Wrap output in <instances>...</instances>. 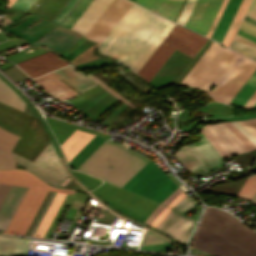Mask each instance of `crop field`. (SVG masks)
I'll return each instance as SVG.
<instances>
[{
	"mask_svg": "<svg viewBox=\"0 0 256 256\" xmlns=\"http://www.w3.org/2000/svg\"><path fill=\"white\" fill-rule=\"evenodd\" d=\"M175 23L132 4L99 46L136 73L174 27Z\"/></svg>",
	"mask_w": 256,
	"mask_h": 256,
	"instance_id": "8a807250",
	"label": "crop field"
},
{
	"mask_svg": "<svg viewBox=\"0 0 256 256\" xmlns=\"http://www.w3.org/2000/svg\"><path fill=\"white\" fill-rule=\"evenodd\" d=\"M256 69V62L213 42L182 84L205 89L219 102L229 103Z\"/></svg>",
	"mask_w": 256,
	"mask_h": 256,
	"instance_id": "ac0d7876",
	"label": "crop field"
},
{
	"mask_svg": "<svg viewBox=\"0 0 256 256\" xmlns=\"http://www.w3.org/2000/svg\"><path fill=\"white\" fill-rule=\"evenodd\" d=\"M192 245L210 255L256 256V233L228 214L208 207Z\"/></svg>",
	"mask_w": 256,
	"mask_h": 256,
	"instance_id": "34b2d1b8",
	"label": "crop field"
},
{
	"mask_svg": "<svg viewBox=\"0 0 256 256\" xmlns=\"http://www.w3.org/2000/svg\"><path fill=\"white\" fill-rule=\"evenodd\" d=\"M149 160L107 139L77 170L121 187Z\"/></svg>",
	"mask_w": 256,
	"mask_h": 256,
	"instance_id": "412701ff",
	"label": "crop field"
},
{
	"mask_svg": "<svg viewBox=\"0 0 256 256\" xmlns=\"http://www.w3.org/2000/svg\"><path fill=\"white\" fill-rule=\"evenodd\" d=\"M0 107L30 120L28 123V120L0 108L1 128L20 137L28 123L17 144L15 145L13 152L33 161L38 153L50 140L45 129L39 122L38 118L30 114H27L1 102Z\"/></svg>",
	"mask_w": 256,
	"mask_h": 256,
	"instance_id": "f4fd0767",
	"label": "crop field"
},
{
	"mask_svg": "<svg viewBox=\"0 0 256 256\" xmlns=\"http://www.w3.org/2000/svg\"><path fill=\"white\" fill-rule=\"evenodd\" d=\"M206 40L176 24L137 74L150 82L175 48L194 58Z\"/></svg>",
	"mask_w": 256,
	"mask_h": 256,
	"instance_id": "dd49c442",
	"label": "crop field"
},
{
	"mask_svg": "<svg viewBox=\"0 0 256 256\" xmlns=\"http://www.w3.org/2000/svg\"><path fill=\"white\" fill-rule=\"evenodd\" d=\"M178 186L151 160L122 188L161 203Z\"/></svg>",
	"mask_w": 256,
	"mask_h": 256,
	"instance_id": "e52e79f7",
	"label": "crop field"
},
{
	"mask_svg": "<svg viewBox=\"0 0 256 256\" xmlns=\"http://www.w3.org/2000/svg\"><path fill=\"white\" fill-rule=\"evenodd\" d=\"M11 155L19 165L36 175L38 173L41 174L42 180L56 187L68 175L64 170L51 141H49L33 162L13 152Z\"/></svg>",
	"mask_w": 256,
	"mask_h": 256,
	"instance_id": "d8731c3e",
	"label": "crop field"
},
{
	"mask_svg": "<svg viewBox=\"0 0 256 256\" xmlns=\"http://www.w3.org/2000/svg\"><path fill=\"white\" fill-rule=\"evenodd\" d=\"M131 4L128 0H114L86 36L101 43Z\"/></svg>",
	"mask_w": 256,
	"mask_h": 256,
	"instance_id": "5a996713",
	"label": "crop field"
},
{
	"mask_svg": "<svg viewBox=\"0 0 256 256\" xmlns=\"http://www.w3.org/2000/svg\"><path fill=\"white\" fill-rule=\"evenodd\" d=\"M221 2L222 0H198L185 26L205 36Z\"/></svg>",
	"mask_w": 256,
	"mask_h": 256,
	"instance_id": "3316defc",
	"label": "crop field"
},
{
	"mask_svg": "<svg viewBox=\"0 0 256 256\" xmlns=\"http://www.w3.org/2000/svg\"><path fill=\"white\" fill-rule=\"evenodd\" d=\"M196 221L184 217L182 214L171 210L157 229L175 238L178 243L186 244Z\"/></svg>",
	"mask_w": 256,
	"mask_h": 256,
	"instance_id": "28ad6ade",
	"label": "crop field"
},
{
	"mask_svg": "<svg viewBox=\"0 0 256 256\" xmlns=\"http://www.w3.org/2000/svg\"><path fill=\"white\" fill-rule=\"evenodd\" d=\"M69 64L52 51L17 63L31 77L43 74L53 69Z\"/></svg>",
	"mask_w": 256,
	"mask_h": 256,
	"instance_id": "d1516ede",
	"label": "crop field"
},
{
	"mask_svg": "<svg viewBox=\"0 0 256 256\" xmlns=\"http://www.w3.org/2000/svg\"><path fill=\"white\" fill-rule=\"evenodd\" d=\"M207 127L228 156L250 152V150L229 130L224 123L207 125Z\"/></svg>",
	"mask_w": 256,
	"mask_h": 256,
	"instance_id": "22f410ed",
	"label": "crop field"
},
{
	"mask_svg": "<svg viewBox=\"0 0 256 256\" xmlns=\"http://www.w3.org/2000/svg\"><path fill=\"white\" fill-rule=\"evenodd\" d=\"M113 0H93L72 29L86 35Z\"/></svg>",
	"mask_w": 256,
	"mask_h": 256,
	"instance_id": "cbeb9de0",
	"label": "crop field"
},
{
	"mask_svg": "<svg viewBox=\"0 0 256 256\" xmlns=\"http://www.w3.org/2000/svg\"><path fill=\"white\" fill-rule=\"evenodd\" d=\"M57 75L53 72L43 75L41 77L33 79V81L38 84L43 90L48 94L55 96L61 100H64L76 92L71 89L67 84L61 81Z\"/></svg>",
	"mask_w": 256,
	"mask_h": 256,
	"instance_id": "5142ce71",
	"label": "crop field"
},
{
	"mask_svg": "<svg viewBox=\"0 0 256 256\" xmlns=\"http://www.w3.org/2000/svg\"><path fill=\"white\" fill-rule=\"evenodd\" d=\"M26 188L11 186L0 207V232H5Z\"/></svg>",
	"mask_w": 256,
	"mask_h": 256,
	"instance_id": "d9b57169",
	"label": "crop field"
},
{
	"mask_svg": "<svg viewBox=\"0 0 256 256\" xmlns=\"http://www.w3.org/2000/svg\"><path fill=\"white\" fill-rule=\"evenodd\" d=\"M178 160L190 171L203 169L204 172L212 170L211 166L201 155L194 144L183 146L176 153Z\"/></svg>",
	"mask_w": 256,
	"mask_h": 256,
	"instance_id": "733c2abd",
	"label": "crop field"
},
{
	"mask_svg": "<svg viewBox=\"0 0 256 256\" xmlns=\"http://www.w3.org/2000/svg\"><path fill=\"white\" fill-rule=\"evenodd\" d=\"M76 41H78V39L74 38L72 35L58 32L52 29L46 35L37 39L31 44L37 46L44 45L58 51L61 54Z\"/></svg>",
	"mask_w": 256,
	"mask_h": 256,
	"instance_id": "4a817a6b",
	"label": "crop field"
},
{
	"mask_svg": "<svg viewBox=\"0 0 256 256\" xmlns=\"http://www.w3.org/2000/svg\"><path fill=\"white\" fill-rule=\"evenodd\" d=\"M135 2L174 21L184 0H136Z\"/></svg>",
	"mask_w": 256,
	"mask_h": 256,
	"instance_id": "bc2a9ffb",
	"label": "crop field"
},
{
	"mask_svg": "<svg viewBox=\"0 0 256 256\" xmlns=\"http://www.w3.org/2000/svg\"><path fill=\"white\" fill-rule=\"evenodd\" d=\"M30 239L0 236V256H26Z\"/></svg>",
	"mask_w": 256,
	"mask_h": 256,
	"instance_id": "214f88e0",
	"label": "crop field"
},
{
	"mask_svg": "<svg viewBox=\"0 0 256 256\" xmlns=\"http://www.w3.org/2000/svg\"><path fill=\"white\" fill-rule=\"evenodd\" d=\"M54 73H56L78 92L95 84L82 72L75 71L72 66H67L56 70Z\"/></svg>",
	"mask_w": 256,
	"mask_h": 256,
	"instance_id": "92a150f3",
	"label": "crop field"
},
{
	"mask_svg": "<svg viewBox=\"0 0 256 256\" xmlns=\"http://www.w3.org/2000/svg\"><path fill=\"white\" fill-rule=\"evenodd\" d=\"M93 136L94 134L76 130L61 146L67 161H69Z\"/></svg>",
	"mask_w": 256,
	"mask_h": 256,
	"instance_id": "dafd665d",
	"label": "crop field"
},
{
	"mask_svg": "<svg viewBox=\"0 0 256 256\" xmlns=\"http://www.w3.org/2000/svg\"><path fill=\"white\" fill-rule=\"evenodd\" d=\"M242 0H230L213 35L212 39L221 43Z\"/></svg>",
	"mask_w": 256,
	"mask_h": 256,
	"instance_id": "00972430",
	"label": "crop field"
},
{
	"mask_svg": "<svg viewBox=\"0 0 256 256\" xmlns=\"http://www.w3.org/2000/svg\"><path fill=\"white\" fill-rule=\"evenodd\" d=\"M65 196V193L56 192L52 202L50 203L46 213L44 214L40 224L38 225L34 233L35 236L43 237L45 235Z\"/></svg>",
	"mask_w": 256,
	"mask_h": 256,
	"instance_id": "a9b5d70f",
	"label": "crop field"
},
{
	"mask_svg": "<svg viewBox=\"0 0 256 256\" xmlns=\"http://www.w3.org/2000/svg\"><path fill=\"white\" fill-rule=\"evenodd\" d=\"M106 139L95 136L69 162L70 168L77 169Z\"/></svg>",
	"mask_w": 256,
	"mask_h": 256,
	"instance_id": "4177f3b9",
	"label": "crop field"
},
{
	"mask_svg": "<svg viewBox=\"0 0 256 256\" xmlns=\"http://www.w3.org/2000/svg\"><path fill=\"white\" fill-rule=\"evenodd\" d=\"M213 169L223 165L222 158L201 132V141L195 144Z\"/></svg>",
	"mask_w": 256,
	"mask_h": 256,
	"instance_id": "730fd06b",
	"label": "crop field"
},
{
	"mask_svg": "<svg viewBox=\"0 0 256 256\" xmlns=\"http://www.w3.org/2000/svg\"><path fill=\"white\" fill-rule=\"evenodd\" d=\"M256 90V70L231 100L230 103L243 107Z\"/></svg>",
	"mask_w": 256,
	"mask_h": 256,
	"instance_id": "eef30255",
	"label": "crop field"
},
{
	"mask_svg": "<svg viewBox=\"0 0 256 256\" xmlns=\"http://www.w3.org/2000/svg\"><path fill=\"white\" fill-rule=\"evenodd\" d=\"M250 2H251V0H243L242 1L234 19H233L225 37H224V39L222 41V44H224L226 46L230 45V43H231V41H232L236 31H237L242 19H243V16H244Z\"/></svg>",
	"mask_w": 256,
	"mask_h": 256,
	"instance_id": "ae1a2a85",
	"label": "crop field"
},
{
	"mask_svg": "<svg viewBox=\"0 0 256 256\" xmlns=\"http://www.w3.org/2000/svg\"><path fill=\"white\" fill-rule=\"evenodd\" d=\"M92 0H80L71 13L66 17L61 26L70 28Z\"/></svg>",
	"mask_w": 256,
	"mask_h": 256,
	"instance_id": "d3111659",
	"label": "crop field"
},
{
	"mask_svg": "<svg viewBox=\"0 0 256 256\" xmlns=\"http://www.w3.org/2000/svg\"><path fill=\"white\" fill-rule=\"evenodd\" d=\"M256 191V174H252L249 176L248 180L241 187L236 197L245 198L249 200V198Z\"/></svg>",
	"mask_w": 256,
	"mask_h": 256,
	"instance_id": "750c4746",
	"label": "crop field"
},
{
	"mask_svg": "<svg viewBox=\"0 0 256 256\" xmlns=\"http://www.w3.org/2000/svg\"><path fill=\"white\" fill-rule=\"evenodd\" d=\"M79 0H68L62 9L57 13L53 18L52 22L60 25L65 17L70 13L74 6L78 3ZM63 23V22H62Z\"/></svg>",
	"mask_w": 256,
	"mask_h": 256,
	"instance_id": "bd1437ed",
	"label": "crop field"
},
{
	"mask_svg": "<svg viewBox=\"0 0 256 256\" xmlns=\"http://www.w3.org/2000/svg\"><path fill=\"white\" fill-rule=\"evenodd\" d=\"M14 95L15 92L0 80V100L12 106Z\"/></svg>",
	"mask_w": 256,
	"mask_h": 256,
	"instance_id": "1d83c4d3",
	"label": "crop field"
},
{
	"mask_svg": "<svg viewBox=\"0 0 256 256\" xmlns=\"http://www.w3.org/2000/svg\"><path fill=\"white\" fill-rule=\"evenodd\" d=\"M195 204L196 202L186 194L174 209L186 215Z\"/></svg>",
	"mask_w": 256,
	"mask_h": 256,
	"instance_id": "120bbe31",
	"label": "crop field"
},
{
	"mask_svg": "<svg viewBox=\"0 0 256 256\" xmlns=\"http://www.w3.org/2000/svg\"><path fill=\"white\" fill-rule=\"evenodd\" d=\"M231 48L256 60V50L251 49L237 41H233Z\"/></svg>",
	"mask_w": 256,
	"mask_h": 256,
	"instance_id": "d32e631a",
	"label": "crop field"
},
{
	"mask_svg": "<svg viewBox=\"0 0 256 256\" xmlns=\"http://www.w3.org/2000/svg\"><path fill=\"white\" fill-rule=\"evenodd\" d=\"M165 242H168V241L150 231H147L142 239L141 245L165 243Z\"/></svg>",
	"mask_w": 256,
	"mask_h": 256,
	"instance_id": "5866460e",
	"label": "crop field"
},
{
	"mask_svg": "<svg viewBox=\"0 0 256 256\" xmlns=\"http://www.w3.org/2000/svg\"><path fill=\"white\" fill-rule=\"evenodd\" d=\"M197 0H188L179 19H178V23L182 24V25H185L195 3H196Z\"/></svg>",
	"mask_w": 256,
	"mask_h": 256,
	"instance_id": "028f5c9d",
	"label": "crop field"
},
{
	"mask_svg": "<svg viewBox=\"0 0 256 256\" xmlns=\"http://www.w3.org/2000/svg\"><path fill=\"white\" fill-rule=\"evenodd\" d=\"M15 161L6 152L0 150V169L14 168Z\"/></svg>",
	"mask_w": 256,
	"mask_h": 256,
	"instance_id": "e1f06a70",
	"label": "crop field"
},
{
	"mask_svg": "<svg viewBox=\"0 0 256 256\" xmlns=\"http://www.w3.org/2000/svg\"><path fill=\"white\" fill-rule=\"evenodd\" d=\"M225 124L231 129V131L251 150H256V147L242 134L240 133L234 126H232L229 122H225Z\"/></svg>",
	"mask_w": 256,
	"mask_h": 256,
	"instance_id": "0bd39190",
	"label": "crop field"
},
{
	"mask_svg": "<svg viewBox=\"0 0 256 256\" xmlns=\"http://www.w3.org/2000/svg\"><path fill=\"white\" fill-rule=\"evenodd\" d=\"M203 133L206 135V137L209 139V141L212 143V145L217 149V151L222 155L223 158L227 157L226 153L223 151V149L220 147V145L217 143L213 135L210 133L206 125L202 129Z\"/></svg>",
	"mask_w": 256,
	"mask_h": 256,
	"instance_id": "b80d0937",
	"label": "crop field"
},
{
	"mask_svg": "<svg viewBox=\"0 0 256 256\" xmlns=\"http://www.w3.org/2000/svg\"><path fill=\"white\" fill-rule=\"evenodd\" d=\"M228 1L229 0H223V2L221 4V7H220V9H219V11H218V13H217V15H216V17H215V19H214V21H213V23H212V25H211V27H210V29H209V31H208L206 36L211 37V35H212V33H213V31H214V29H215V27H216V25H217V23L219 21L222 13L224 11V9H225Z\"/></svg>",
	"mask_w": 256,
	"mask_h": 256,
	"instance_id": "c035e120",
	"label": "crop field"
},
{
	"mask_svg": "<svg viewBox=\"0 0 256 256\" xmlns=\"http://www.w3.org/2000/svg\"><path fill=\"white\" fill-rule=\"evenodd\" d=\"M35 2V0H17L12 8L28 11V9L32 6V4Z\"/></svg>",
	"mask_w": 256,
	"mask_h": 256,
	"instance_id": "c21b1889",
	"label": "crop field"
},
{
	"mask_svg": "<svg viewBox=\"0 0 256 256\" xmlns=\"http://www.w3.org/2000/svg\"><path fill=\"white\" fill-rule=\"evenodd\" d=\"M90 77L92 79H94L98 84H100L105 90H107L110 94H112L113 96L117 97L118 99H120L121 101H123L124 103L128 104L131 107H135L133 106L131 103H129L127 100H125L124 98H122L120 95H118L116 92H114L113 90H111L109 87H107L105 84H103L102 82H100L98 79H96L94 76L90 75Z\"/></svg>",
	"mask_w": 256,
	"mask_h": 256,
	"instance_id": "03da06ac",
	"label": "crop field"
},
{
	"mask_svg": "<svg viewBox=\"0 0 256 256\" xmlns=\"http://www.w3.org/2000/svg\"><path fill=\"white\" fill-rule=\"evenodd\" d=\"M54 194H55V192H54V191H52V193H51V195H50V197H49V199H48V201H47L46 205L44 206V208H43V210H42V212H41V214H40V216H39L38 220L36 221V223H35V225H34V227H33L32 231H31L30 235H33V233H34V231H35V229H36L37 225L39 224V222H40V220H41V218H42L43 214L45 213V211H46V209H47V207H48L49 203L51 202V200H52V198H53Z\"/></svg>",
	"mask_w": 256,
	"mask_h": 256,
	"instance_id": "b54c1fbb",
	"label": "crop field"
},
{
	"mask_svg": "<svg viewBox=\"0 0 256 256\" xmlns=\"http://www.w3.org/2000/svg\"><path fill=\"white\" fill-rule=\"evenodd\" d=\"M240 28L256 36L255 25L244 20Z\"/></svg>",
	"mask_w": 256,
	"mask_h": 256,
	"instance_id": "5d738f31",
	"label": "crop field"
},
{
	"mask_svg": "<svg viewBox=\"0 0 256 256\" xmlns=\"http://www.w3.org/2000/svg\"><path fill=\"white\" fill-rule=\"evenodd\" d=\"M230 123L233 124L239 131H241L256 146V138H254L250 133H248L236 122H230Z\"/></svg>",
	"mask_w": 256,
	"mask_h": 256,
	"instance_id": "d23c7cc5",
	"label": "crop field"
},
{
	"mask_svg": "<svg viewBox=\"0 0 256 256\" xmlns=\"http://www.w3.org/2000/svg\"><path fill=\"white\" fill-rule=\"evenodd\" d=\"M164 208V206L162 205H158V207L153 211V213L146 219V221L144 223L150 225L151 222L157 217V215L162 211V209Z\"/></svg>",
	"mask_w": 256,
	"mask_h": 256,
	"instance_id": "425ffa30",
	"label": "crop field"
},
{
	"mask_svg": "<svg viewBox=\"0 0 256 256\" xmlns=\"http://www.w3.org/2000/svg\"><path fill=\"white\" fill-rule=\"evenodd\" d=\"M169 211L170 209L165 207L163 211L158 215V217L153 221V223L151 222V226L156 228V226L163 220V218L168 214Z\"/></svg>",
	"mask_w": 256,
	"mask_h": 256,
	"instance_id": "25e5ab78",
	"label": "crop field"
},
{
	"mask_svg": "<svg viewBox=\"0 0 256 256\" xmlns=\"http://www.w3.org/2000/svg\"><path fill=\"white\" fill-rule=\"evenodd\" d=\"M235 40H237V41H239V42H241V43H243V44H245V45H247L251 48L256 49V43H254V42H252V41H250V40H248V39H246V38H244V37H242L238 34L236 35Z\"/></svg>",
	"mask_w": 256,
	"mask_h": 256,
	"instance_id": "73cf0c24",
	"label": "crop field"
},
{
	"mask_svg": "<svg viewBox=\"0 0 256 256\" xmlns=\"http://www.w3.org/2000/svg\"><path fill=\"white\" fill-rule=\"evenodd\" d=\"M183 190L180 189L179 187L173 192L168 198H166L162 204L168 205L174 198H176Z\"/></svg>",
	"mask_w": 256,
	"mask_h": 256,
	"instance_id": "89e229c0",
	"label": "crop field"
},
{
	"mask_svg": "<svg viewBox=\"0 0 256 256\" xmlns=\"http://www.w3.org/2000/svg\"><path fill=\"white\" fill-rule=\"evenodd\" d=\"M246 15L256 20V0H253Z\"/></svg>",
	"mask_w": 256,
	"mask_h": 256,
	"instance_id": "1f2cbd36",
	"label": "crop field"
},
{
	"mask_svg": "<svg viewBox=\"0 0 256 256\" xmlns=\"http://www.w3.org/2000/svg\"><path fill=\"white\" fill-rule=\"evenodd\" d=\"M9 188H10V186H8V185L0 184V205H1L2 201L4 200Z\"/></svg>",
	"mask_w": 256,
	"mask_h": 256,
	"instance_id": "dbb93151",
	"label": "crop field"
},
{
	"mask_svg": "<svg viewBox=\"0 0 256 256\" xmlns=\"http://www.w3.org/2000/svg\"><path fill=\"white\" fill-rule=\"evenodd\" d=\"M13 106L24 111L25 103L22 101V99L17 94L15 95V100H14Z\"/></svg>",
	"mask_w": 256,
	"mask_h": 256,
	"instance_id": "0fb4a251",
	"label": "crop field"
},
{
	"mask_svg": "<svg viewBox=\"0 0 256 256\" xmlns=\"http://www.w3.org/2000/svg\"><path fill=\"white\" fill-rule=\"evenodd\" d=\"M238 34H240V35H242V36H244V37H246V38H248V39H250V40L256 42V37H255V36H253V35H251V34L245 32V31H243V30H241V29H239Z\"/></svg>",
	"mask_w": 256,
	"mask_h": 256,
	"instance_id": "1d79db26",
	"label": "crop field"
},
{
	"mask_svg": "<svg viewBox=\"0 0 256 256\" xmlns=\"http://www.w3.org/2000/svg\"><path fill=\"white\" fill-rule=\"evenodd\" d=\"M256 102V92L252 95L249 101L245 104L244 107L251 108L252 105Z\"/></svg>",
	"mask_w": 256,
	"mask_h": 256,
	"instance_id": "9d1cf04e",
	"label": "crop field"
},
{
	"mask_svg": "<svg viewBox=\"0 0 256 256\" xmlns=\"http://www.w3.org/2000/svg\"><path fill=\"white\" fill-rule=\"evenodd\" d=\"M185 195L184 191L176 198L174 199L169 205L168 207L173 208L178 202L179 200Z\"/></svg>",
	"mask_w": 256,
	"mask_h": 256,
	"instance_id": "447ae74e",
	"label": "crop field"
},
{
	"mask_svg": "<svg viewBox=\"0 0 256 256\" xmlns=\"http://www.w3.org/2000/svg\"><path fill=\"white\" fill-rule=\"evenodd\" d=\"M249 201L256 204V192L254 193V195L251 197V199Z\"/></svg>",
	"mask_w": 256,
	"mask_h": 256,
	"instance_id": "0765c3eb",
	"label": "crop field"
},
{
	"mask_svg": "<svg viewBox=\"0 0 256 256\" xmlns=\"http://www.w3.org/2000/svg\"><path fill=\"white\" fill-rule=\"evenodd\" d=\"M245 20H247V21H249V22H251V23L256 25V21L251 19V18H249V17H247V16L245 17Z\"/></svg>",
	"mask_w": 256,
	"mask_h": 256,
	"instance_id": "db79e9e6",
	"label": "crop field"
},
{
	"mask_svg": "<svg viewBox=\"0 0 256 256\" xmlns=\"http://www.w3.org/2000/svg\"><path fill=\"white\" fill-rule=\"evenodd\" d=\"M10 2L8 3V7H11L12 6V4L16 1V0H9Z\"/></svg>",
	"mask_w": 256,
	"mask_h": 256,
	"instance_id": "7b73153f",
	"label": "crop field"
},
{
	"mask_svg": "<svg viewBox=\"0 0 256 256\" xmlns=\"http://www.w3.org/2000/svg\"><path fill=\"white\" fill-rule=\"evenodd\" d=\"M251 121H252V122H254V123L256 124V119H252Z\"/></svg>",
	"mask_w": 256,
	"mask_h": 256,
	"instance_id": "78b8030e",
	"label": "crop field"
},
{
	"mask_svg": "<svg viewBox=\"0 0 256 256\" xmlns=\"http://www.w3.org/2000/svg\"><path fill=\"white\" fill-rule=\"evenodd\" d=\"M254 107H256V103L253 105V107H252V108H254Z\"/></svg>",
	"mask_w": 256,
	"mask_h": 256,
	"instance_id": "0f1d7ab4",
	"label": "crop field"
},
{
	"mask_svg": "<svg viewBox=\"0 0 256 256\" xmlns=\"http://www.w3.org/2000/svg\"><path fill=\"white\" fill-rule=\"evenodd\" d=\"M131 1H133V2H134L135 0H131Z\"/></svg>",
	"mask_w": 256,
	"mask_h": 256,
	"instance_id": "e1d0b9f6",
	"label": "crop field"
}]
</instances>
